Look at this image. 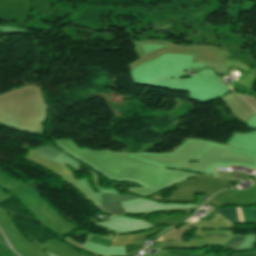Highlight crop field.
Returning <instances> with one entry per match:
<instances>
[{
    "instance_id": "3",
    "label": "crop field",
    "mask_w": 256,
    "mask_h": 256,
    "mask_svg": "<svg viewBox=\"0 0 256 256\" xmlns=\"http://www.w3.org/2000/svg\"><path fill=\"white\" fill-rule=\"evenodd\" d=\"M33 151H35L40 156H48V157H55L62 152L56 147L49 146V145L33 149Z\"/></svg>"
},
{
    "instance_id": "4",
    "label": "crop field",
    "mask_w": 256,
    "mask_h": 256,
    "mask_svg": "<svg viewBox=\"0 0 256 256\" xmlns=\"http://www.w3.org/2000/svg\"><path fill=\"white\" fill-rule=\"evenodd\" d=\"M90 241L99 243V244H103V245H107V246H109L111 243L110 240H106V239H102V238H98V237H94V236L92 237V239Z\"/></svg>"
},
{
    "instance_id": "1",
    "label": "crop field",
    "mask_w": 256,
    "mask_h": 256,
    "mask_svg": "<svg viewBox=\"0 0 256 256\" xmlns=\"http://www.w3.org/2000/svg\"><path fill=\"white\" fill-rule=\"evenodd\" d=\"M222 216L230 222H237L239 221V212L238 207H224L220 208ZM240 211V221L243 222V215H244V222H256V208H243V215H242V208L239 207Z\"/></svg>"
},
{
    "instance_id": "5",
    "label": "crop field",
    "mask_w": 256,
    "mask_h": 256,
    "mask_svg": "<svg viewBox=\"0 0 256 256\" xmlns=\"http://www.w3.org/2000/svg\"><path fill=\"white\" fill-rule=\"evenodd\" d=\"M128 256H133L132 254L128 255Z\"/></svg>"
},
{
    "instance_id": "2",
    "label": "crop field",
    "mask_w": 256,
    "mask_h": 256,
    "mask_svg": "<svg viewBox=\"0 0 256 256\" xmlns=\"http://www.w3.org/2000/svg\"><path fill=\"white\" fill-rule=\"evenodd\" d=\"M140 198L132 195L123 196V195H105L101 194L102 207L103 210L116 214L124 212L119 201Z\"/></svg>"
}]
</instances>
